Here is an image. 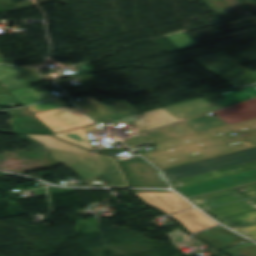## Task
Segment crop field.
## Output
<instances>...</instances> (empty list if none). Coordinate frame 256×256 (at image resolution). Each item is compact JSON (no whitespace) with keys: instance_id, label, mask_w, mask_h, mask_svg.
<instances>
[{"instance_id":"obj_1","label":"crop field","mask_w":256,"mask_h":256,"mask_svg":"<svg viewBox=\"0 0 256 256\" xmlns=\"http://www.w3.org/2000/svg\"><path fill=\"white\" fill-rule=\"evenodd\" d=\"M226 99L210 103L199 99L166 108L139 113L120 121L129 124L136 132L141 133L207 111H211L229 104H233L256 96V85L221 94ZM224 121L233 124L246 120L256 119V99L250 100L226 109L213 112ZM151 144L150 142L132 146V148Z\"/></svg>"},{"instance_id":"obj_2","label":"crop field","mask_w":256,"mask_h":256,"mask_svg":"<svg viewBox=\"0 0 256 256\" xmlns=\"http://www.w3.org/2000/svg\"><path fill=\"white\" fill-rule=\"evenodd\" d=\"M45 125L54 133L70 130L78 127L79 129L55 134L56 137L62 138L70 143L80 145L84 148L94 151L83 126L93 124L90 119L75 109L63 107L39 114H35Z\"/></svg>"},{"instance_id":"obj_3","label":"crop field","mask_w":256,"mask_h":256,"mask_svg":"<svg viewBox=\"0 0 256 256\" xmlns=\"http://www.w3.org/2000/svg\"><path fill=\"white\" fill-rule=\"evenodd\" d=\"M256 160V147L164 169L170 181Z\"/></svg>"},{"instance_id":"obj_4","label":"crop field","mask_w":256,"mask_h":256,"mask_svg":"<svg viewBox=\"0 0 256 256\" xmlns=\"http://www.w3.org/2000/svg\"><path fill=\"white\" fill-rule=\"evenodd\" d=\"M195 61L236 89L256 84V72H250L223 53L195 59Z\"/></svg>"},{"instance_id":"obj_5","label":"crop field","mask_w":256,"mask_h":256,"mask_svg":"<svg viewBox=\"0 0 256 256\" xmlns=\"http://www.w3.org/2000/svg\"><path fill=\"white\" fill-rule=\"evenodd\" d=\"M83 101L75 104L90 115L97 123L139 113L126 102L116 100L97 101L96 97H80ZM83 111V112H84Z\"/></svg>"},{"instance_id":"obj_6","label":"crop field","mask_w":256,"mask_h":256,"mask_svg":"<svg viewBox=\"0 0 256 256\" xmlns=\"http://www.w3.org/2000/svg\"><path fill=\"white\" fill-rule=\"evenodd\" d=\"M133 187H168L157 177L158 170L137 159L121 162Z\"/></svg>"},{"instance_id":"obj_7","label":"crop field","mask_w":256,"mask_h":256,"mask_svg":"<svg viewBox=\"0 0 256 256\" xmlns=\"http://www.w3.org/2000/svg\"><path fill=\"white\" fill-rule=\"evenodd\" d=\"M145 202L158 207L167 214L178 212L192 206L175 193H136Z\"/></svg>"},{"instance_id":"obj_8","label":"crop field","mask_w":256,"mask_h":256,"mask_svg":"<svg viewBox=\"0 0 256 256\" xmlns=\"http://www.w3.org/2000/svg\"><path fill=\"white\" fill-rule=\"evenodd\" d=\"M243 187H247L243 189L244 191L251 190V189H254V191L246 193L244 195L245 197L241 196L240 194L236 193L233 190H228L224 192L192 198L190 200L194 202H198L202 200L203 203H197V204L202 208H206V207L222 204L225 202H229V201H233L241 198H249V197L256 196V184L246 185Z\"/></svg>"},{"instance_id":"obj_9","label":"crop field","mask_w":256,"mask_h":256,"mask_svg":"<svg viewBox=\"0 0 256 256\" xmlns=\"http://www.w3.org/2000/svg\"><path fill=\"white\" fill-rule=\"evenodd\" d=\"M253 168H256V161L231 167V168H227V169H223V170H218L214 172H209V173L173 181L171 182L172 183L171 185L173 188H176V187H180V186H184V185H188V184H192V183H196V182H200V181H204V180H208V179H212V178H216V177H220V176H224V175H228V174H232L240 171H245Z\"/></svg>"},{"instance_id":"obj_10","label":"crop field","mask_w":256,"mask_h":256,"mask_svg":"<svg viewBox=\"0 0 256 256\" xmlns=\"http://www.w3.org/2000/svg\"><path fill=\"white\" fill-rule=\"evenodd\" d=\"M173 217L181 221L192 233L216 225L213 221L206 218L195 209L173 215Z\"/></svg>"},{"instance_id":"obj_11","label":"crop field","mask_w":256,"mask_h":256,"mask_svg":"<svg viewBox=\"0 0 256 256\" xmlns=\"http://www.w3.org/2000/svg\"><path fill=\"white\" fill-rule=\"evenodd\" d=\"M253 209H256V198L207 209L206 211H208L216 218H221Z\"/></svg>"},{"instance_id":"obj_12","label":"crop field","mask_w":256,"mask_h":256,"mask_svg":"<svg viewBox=\"0 0 256 256\" xmlns=\"http://www.w3.org/2000/svg\"><path fill=\"white\" fill-rule=\"evenodd\" d=\"M10 93L24 105L55 97L48 91L37 93L32 88H24Z\"/></svg>"},{"instance_id":"obj_13","label":"crop field","mask_w":256,"mask_h":256,"mask_svg":"<svg viewBox=\"0 0 256 256\" xmlns=\"http://www.w3.org/2000/svg\"><path fill=\"white\" fill-rule=\"evenodd\" d=\"M221 220L225 222V225L238 229L243 226L256 224V211L221 218Z\"/></svg>"},{"instance_id":"obj_14","label":"crop field","mask_w":256,"mask_h":256,"mask_svg":"<svg viewBox=\"0 0 256 256\" xmlns=\"http://www.w3.org/2000/svg\"><path fill=\"white\" fill-rule=\"evenodd\" d=\"M66 105H69V104L66 103L65 101L57 98V99H54V100H51V101H48V102H45L42 104L29 106L28 108L32 112V114H34V113H38V112L66 106Z\"/></svg>"},{"instance_id":"obj_15","label":"crop field","mask_w":256,"mask_h":256,"mask_svg":"<svg viewBox=\"0 0 256 256\" xmlns=\"http://www.w3.org/2000/svg\"><path fill=\"white\" fill-rule=\"evenodd\" d=\"M236 231H238L241 234H244V235L249 236V237L253 238L254 240H256V225L240 228Z\"/></svg>"},{"instance_id":"obj_16","label":"crop field","mask_w":256,"mask_h":256,"mask_svg":"<svg viewBox=\"0 0 256 256\" xmlns=\"http://www.w3.org/2000/svg\"><path fill=\"white\" fill-rule=\"evenodd\" d=\"M85 130L93 134L104 132V130L97 125L86 127Z\"/></svg>"},{"instance_id":"obj_17","label":"crop field","mask_w":256,"mask_h":256,"mask_svg":"<svg viewBox=\"0 0 256 256\" xmlns=\"http://www.w3.org/2000/svg\"><path fill=\"white\" fill-rule=\"evenodd\" d=\"M134 192H169L163 190H134Z\"/></svg>"},{"instance_id":"obj_18","label":"crop field","mask_w":256,"mask_h":256,"mask_svg":"<svg viewBox=\"0 0 256 256\" xmlns=\"http://www.w3.org/2000/svg\"><path fill=\"white\" fill-rule=\"evenodd\" d=\"M158 177L161 178L164 181V179H163V177L160 173L158 174Z\"/></svg>"},{"instance_id":"obj_19","label":"crop field","mask_w":256,"mask_h":256,"mask_svg":"<svg viewBox=\"0 0 256 256\" xmlns=\"http://www.w3.org/2000/svg\"><path fill=\"white\" fill-rule=\"evenodd\" d=\"M140 160H143L142 158H139ZM143 161H145V160H143ZM146 162V161H145Z\"/></svg>"},{"instance_id":"obj_20","label":"crop field","mask_w":256,"mask_h":256,"mask_svg":"<svg viewBox=\"0 0 256 256\" xmlns=\"http://www.w3.org/2000/svg\"><path fill=\"white\" fill-rule=\"evenodd\" d=\"M237 256H243V255L239 254V255H237Z\"/></svg>"},{"instance_id":"obj_21","label":"crop field","mask_w":256,"mask_h":256,"mask_svg":"<svg viewBox=\"0 0 256 256\" xmlns=\"http://www.w3.org/2000/svg\"><path fill=\"white\" fill-rule=\"evenodd\" d=\"M3 61L0 59V63H2Z\"/></svg>"}]
</instances>
